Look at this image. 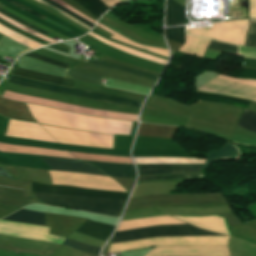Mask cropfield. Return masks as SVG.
I'll list each match as a JSON object with an SVG mask.
<instances>
[{"label":"crop field","instance_id":"crop-field-22","mask_svg":"<svg viewBox=\"0 0 256 256\" xmlns=\"http://www.w3.org/2000/svg\"><path fill=\"white\" fill-rule=\"evenodd\" d=\"M184 28L185 26L167 28L166 38L183 44L185 41Z\"/></svg>","mask_w":256,"mask_h":256},{"label":"crop field","instance_id":"crop-field-35","mask_svg":"<svg viewBox=\"0 0 256 256\" xmlns=\"http://www.w3.org/2000/svg\"><path fill=\"white\" fill-rule=\"evenodd\" d=\"M109 8L120 3L118 0H102Z\"/></svg>","mask_w":256,"mask_h":256},{"label":"crop field","instance_id":"crop-field-3","mask_svg":"<svg viewBox=\"0 0 256 256\" xmlns=\"http://www.w3.org/2000/svg\"><path fill=\"white\" fill-rule=\"evenodd\" d=\"M9 83L23 85L26 87L37 88V89L50 91V92L65 93V94L74 95V96L111 101V102H116V103L125 104V105L140 107L142 104L140 102H136V101L120 98V97L93 93V92L77 90V89H71V88H65V87H61L53 84L40 83L33 80L15 77V76L11 77V79L9 80Z\"/></svg>","mask_w":256,"mask_h":256},{"label":"crop field","instance_id":"crop-field-36","mask_svg":"<svg viewBox=\"0 0 256 256\" xmlns=\"http://www.w3.org/2000/svg\"><path fill=\"white\" fill-rule=\"evenodd\" d=\"M0 175H3V176H6V177L11 178V177L9 176V174H8L6 171H4L3 169H1V168H0Z\"/></svg>","mask_w":256,"mask_h":256},{"label":"crop field","instance_id":"crop-field-26","mask_svg":"<svg viewBox=\"0 0 256 256\" xmlns=\"http://www.w3.org/2000/svg\"><path fill=\"white\" fill-rule=\"evenodd\" d=\"M36 1H38V2H40L41 4H43V5L47 6V7H49L50 9L56 11L57 13H59V14L65 16L66 18L72 20L73 22H75V23H77V24H79V25H81V26H83V27H85V28H87V29H89V30L91 29V27L86 26L85 24H83V23H81L80 21L76 20V19L73 18L72 16H70V15H68V14H66V13H64V12H62L61 10L55 8L54 6H52V5H50V4L46 3V2H44V1H42V0H36Z\"/></svg>","mask_w":256,"mask_h":256},{"label":"crop field","instance_id":"crop-field-28","mask_svg":"<svg viewBox=\"0 0 256 256\" xmlns=\"http://www.w3.org/2000/svg\"><path fill=\"white\" fill-rule=\"evenodd\" d=\"M28 56L34 57V58L39 59V60L47 61V62H49V63H51L53 65H56V66H60V67L66 68V69L68 68L67 64L60 63L58 61L49 59V58L44 57V56H40V55H37V54H34V53L28 54Z\"/></svg>","mask_w":256,"mask_h":256},{"label":"crop field","instance_id":"crop-field-5","mask_svg":"<svg viewBox=\"0 0 256 256\" xmlns=\"http://www.w3.org/2000/svg\"><path fill=\"white\" fill-rule=\"evenodd\" d=\"M203 165L152 164L139 165V174H161L171 172L201 171Z\"/></svg>","mask_w":256,"mask_h":256},{"label":"crop field","instance_id":"crop-field-23","mask_svg":"<svg viewBox=\"0 0 256 256\" xmlns=\"http://www.w3.org/2000/svg\"><path fill=\"white\" fill-rule=\"evenodd\" d=\"M68 74L78 80H82V81H86V82H90V83H94V84H99V78H100L99 76H95L92 74L79 72V71H73V70H70L68 72Z\"/></svg>","mask_w":256,"mask_h":256},{"label":"crop field","instance_id":"crop-field-4","mask_svg":"<svg viewBox=\"0 0 256 256\" xmlns=\"http://www.w3.org/2000/svg\"><path fill=\"white\" fill-rule=\"evenodd\" d=\"M40 157L54 170L105 175L103 172L99 171L98 169L86 163H83L81 161H74V160L46 157V156H40Z\"/></svg>","mask_w":256,"mask_h":256},{"label":"crop field","instance_id":"crop-field-2","mask_svg":"<svg viewBox=\"0 0 256 256\" xmlns=\"http://www.w3.org/2000/svg\"><path fill=\"white\" fill-rule=\"evenodd\" d=\"M229 237L154 238L111 245L108 253L161 245H227Z\"/></svg>","mask_w":256,"mask_h":256},{"label":"crop field","instance_id":"crop-field-32","mask_svg":"<svg viewBox=\"0 0 256 256\" xmlns=\"http://www.w3.org/2000/svg\"><path fill=\"white\" fill-rule=\"evenodd\" d=\"M54 1H56V2H58L59 4L65 6L66 8H68V9H70V10L76 12V13L79 14L80 16L84 17V18L87 19L88 21H90V22H92V23L95 24L96 21H94V20H92V19H90V18L84 16L83 14H81L80 12H78L77 10H75L74 8L70 7V6L67 5L66 3L62 2L61 0H54Z\"/></svg>","mask_w":256,"mask_h":256},{"label":"crop field","instance_id":"crop-field-37","mask_svg":"<svg viewBox=\"0 0 256 256\" xmlns=\"http://www.w3.org/2000/svg\"><path fill=\"white\" fill-rule=\"evenodd\" d=\"M121 2L125 1V0H120Z\"/></svg>","mask_w":256,"mask_h":256},{"label":"crop field","instance_id":"crop-field-13","mask_svg":"<svg viewBox=\"0 0 256 256\" xmlns=\"http://www.w3.org/2000/svg\"><path fill=\"white\" fill-rule=\"evenodd\" d=\"M32 50L5 36L0 40V55L16 59L20 54Z\"/></svg>","mask_w":256,"mask_h":256},{"label":"crop field","instance_id":"crop-field-15","mask_svg":"<svg viewBox=\"0 0 256 256\" xmlns=\"http://www.w3.org/2000/svg\"><path fill=\"white\" fill-rule=\"evenodd\" d=\"M238 151L232 145L227 143L223 148L215 152H209L208 158L202 169H206L208 164L213 160L230 159L235 158Z\"/></svg>","mask_w":256,"mask_h":256},{"label":"crop field","instance_id":"crop-field-29","mask_svg":"<svg viewBox=\"0 0 256 256\" xmlns=\"http://www.w3.org/2000/svg\"><path fill=\"white\" fill-rule=\"evenodd\" d=\"M46 1L49 2V3H51L52 5H54L55 7L61 9L62 11H64V12H66V13H68V14H70V15L76 17V18H78L79 20L83 21L85 24H87V25H89V26H91V27L93 26V24H91L90 22H88V21L85 20L84 18H82V17H80V16H78V15L72 13L71 11L65 9L64 7H62L61 5H59L58 3H56V2H54V1H52V0H46Z\"/></svg>","mask_w":256,"mask_h":256},{"label":"crop field","instance_id":"crop-field-31","mask_svg":"<svg viewBox=\"0 0 256 256\" xmlns=\"http://www.w3.org/2000/svg\"><path fill=\"white\" fill-rule=\"evenodd\" d=\"M97 26H99V27H101V28H103V29H105V30H107V31H109V32H111V33H113V34H115V35H117V36H119V37H121V38L127 40V41H130V40H128V39L122 37L121 35H119V34L113 32V31L110 30L109 28H107V27H105V26H103V25H101V24H99V23H97ZM130 42H132V41H130ZM132 43H134V42H132ZM134 44H136V43H134ZM137 45H139V46H141V47H147V48H151V49H155V50H159V51H163V52H167V53H168V50H165V49H157V48L148 47V46H144V45H140V44H137Z\"/></svg>","mask_w":256,"mask_h":256},{"label":"crop field","instance_id":"crop-field-11","mask_svg":"<svg viewBox=\"0 0 256 256\" xmlns=\"http://www.w3.org/2000/svg\"><path fill=\"white\" fill-rule=\"evenodd\" d=\"M12 74L21 76V77H26V78L36 79V80H40V81H44V82L71 86V87L74 82L72 80H68L65 78L62 79V78L49 76V75H45V74H41V73L29 71V70L19 69V68H15Z\"/></svg>","mask_w":256,"mask_h":256},{"label":"crop field","instance_id":"crop-field-10","mask_svg":"<svg viewBox=\"0 0 256 256\" xmlns=\"http://www.w3.org/2000/svg\"><path fill=\"white\" fill-rule=\"evenodd\" d=\"M88 163L98 167L99 169H101L103 172L107 173L110 176L135 178V169L133 165L98 163V162H88Z\"/></svg>","mask_w":256,"mask_h":256},{"label":"crop field","instance_id":"crop-field-33","mask_svg":"<svg viewBox=\"0 0 256 256\" xmlns=\"http://www.w3.org/2000/svg\"><path fill=\"white\" fill-rule=\"evenodd\" d=\"M99 23H101V24H103V25L109 27L110 29L114 30L115 32H117V33H119V34H121V35H123V36H125L126 38H128V39H130V40H133V39L129 38L127 35H125V34L119 32V31L116 30L115 28H113V27H111V26L105 24L104 22H102V21H100V20H99ZM133 41H135V40H133ZM135 42H138V41H135ZM138 43H141V42H138ZM141 44H144V43H141ZM144 45H148V44H144ZM148 46L159 47V48H166V49H167V47H160V46H156V45H148Z\"/></svg>","mask_w":256,"mask_h":256},{"label":"crop field","instance_id":"crop-field-25","mask_svg":"<svg viewBox=\"0 0 256 256\" xmlns=\"http://www.w3.org/2000/svg\"><path fill=\"white\" fill-rule=\"evenodd\" d=\"M0 13L5 15V16H7V17H9V18H11V19H13L14 21H16V22H18V23H20V24H22V25H24V26H26V27H28V28H30V29L40 33V34H42V35H44V36L49 34V33L45 32V31H43V30H41V29H39V28H37V27H35V26L25 22L24 20H22V19H20V18H18L16 16H14V15H12V14L4 11V10H2V9H0Z\"/></svg>","mask_w":256,"mask_h":256},{"label":"crop field","instance_id":"crop-field-16","mask_svg":"<svg viewBox=\"0 0 256 256\" xmlns=\"http://www.w3.org/2000/svg\"><path fill=\"white\" fill-rule=\"evenodd\" d=\"M96 17H100L109 8L101 0H75Z\"/></svg>","mask_w":256,"mask_h":256},{"label":"crop field","instance_id":"crop-field-21","mask_svg":"<svg viewBox=\"0 0 256 256\" xmlns=\"http://www.w3.org/2000/svg\"><path fill=\"white\" fill-rule=\"evenodd\" d=\"M207 48L239 56L238 47L233 45L223 44L211 40Z\"/></svg>","mask_w":256,"mask_h":256},{"label":"crop field","instance_id":"crop-field-8","mask_svg":"<svg viewBox=\"0 0 256 256\" xmlns=\"http://www.w3.org/2000/svg\"><path fill=\"white\" fill-rule=\"evenodd\" d=\"M208 217H211V216H208ZM217 217H211V218H178V219L184 220V221H186V222H188L192 225H195L197 227L207 229V230H210V231H214V232H218V233L227 234V231H228V234L230 235L229 230H228V226L225 222L226 227H227V231H226L225 224H224L225 220L223 221L222 220L223 218L220 219L221 217L220 218H217Z\"/></svg>","mask_w":256,"mask_h":256},{"label":"crop field","instance_id":"crop-field-14","mask_svg":"<svg viewBox=\"0 0 256 256\" xmlns=\"http://www.w3.org/2000/svg\"><path fill=\"white\" fill-rule=\"evenodd\" d=\"M4 220L45 225V213L21 209Z\"/></svg>","mask_w":256,"mask_h":256},{"label":"crop field","instance_id":"crop-field-18","mask_svg":"<svg viewBox=\"0 0 256 256\" xmlns=\"http://www.w3.org/2000/svg\"><path fill=\"white\" fill-rule=\"evenodd\" d=\"M219 78L256 86V81H254V80H233V79H229V78H225V77H221V76H219ZM253 86H250V87L244 89L243 91L239 92L238 94H236L234 96L247 98V99L256 101V87H253Z\"/></svg>","mask_w":256,"mask_h":256},{"label":"crop field","instance_id":"crop-field-9","mask_svg":"<svg viewBox=\"0 0 256 256\" xmlns=\"http://www.w3.org/2000/svg\"><path fill=\"white\" fill-rule=\"evenodd\" d=\"M115 227L101 224V223H96L87 220L82 226H80L76 231L77 232H82L86 235L95 237L97 239L105 240L109 238L111 233L113 232Z\"/></svg>","mask_w":256,"mask_h":256},{"label":"crop field","instance_id":"crop-field-24","mask_svg":"<svg viewBox=\"0 0 256 256\" xmlns=\"http://www.w3.org/2000/svg\"><path fill=\"white\" fill-rule=\"evenodd\" d=\"M245 46L256 47V19L250 18Z\"/></svg>","mask_w":256,"mask_h":256},{"label":"crop field","instance_id":"crop-field-20","mask_svg":"<svg viewBox=\"0 0 256 256\" xmlns=\"http://www.w3.org/2000/svg\"><path fill=\"white\" fill-rule=\"evenodd\" d=\"M63 245H68L71 246L77 250H81V251H85V252H91V253H99L100 248L98 247H93V246H89V245H85L79 242H75L69 239H66L62 242ZM83 253L82 256H98L96 254H90V253Z\"/></svg>","mask_w":256,"mask_h":256},{"label":"crop field","instance_id":"crop-field-19","mask_svg":"<svg viewBox=\"0 0 256 256\" xmlns=\"http://www.w3.org/2000/svg\"><path fill=\"white\" fill-rule=\"evenodd\" d=\"M237 125L256 133V113L245 110Z\"/></svg>","mask_w":256,"mask_h":256},{"label":"crop field","instance_id":"crop-field-27","mask_svg":"<svg viewBox=\"0 0 256 256\" xmlns=\"http://www.w3.org/2000/svg\"><path fill=\"white\" fill-rule=\"evenodd\" d=\"M202 175H188V176H173V177H139L138 182L145 180H156V179H178V178H197Z\"/></svg>","mask_w":256,"mask_h":256},{"label":"crop field","instance_id":"crop-field-6","mask_svg":"<svg viewBox=\"0 0 256 256\" xmlns=\"http://www.w3.org/2000/svg\"><path fill=\"white\" fill-rule=\"evenodd\" d=\"M248 85L215 78L207 82L203 86H201L198 90L208 91L213 93H221V94L232 96L235 93L242 90L243 88L247 87Z\"/></svg>","mask_w":256,"mask_h":256},{"label":"crop field","instance_id":"crop-field-30","mask_svg":"<svg viewBox=\"0 0 256 256\" xmlns=\"http://www.w3.org/2000/svg\"><path fill=\"white\" fill-rule=\"evenodd\" d=\"M6 1H8L9 3H11V4H13V5H15V6L21 8L23 10H25L26 12H28V13H30V14H32V15H34V16L42 19V20H44V18H45V16H43V15H41V14H39V13H37V12H35V11H33V10H31V9H29V8H27V7L23 6V5L15 2V1H13V0H6Z\"/></svg>","mask_w":256,"mask_h":256},{"label":"crop field","instance_id":"crop-field-17","mask_svg":"<svg viewBox=\"0 0 256 256\" xmlns=\"http://www.w3.org/2000/svg\"><path fill=\"white\" fill-rule=\"evenodd\" d=\"M89 63L104 66V67H108V68H112V69H116V70H120V71H124V72H128V73H132V74H136V75H140V76L155 79V80L158 77L156 75L140 72V71H137L135 69H131V68H127V67H123V66H119V65L99 61V60L90 61Z\"/></svg>","mask_w":256,"mask_h":256},{"label":"crop field","instance_id":"crop-field-7","mask_svg":"<svg viewBox=\"0 0 256 256\" xmlns=\"http://www.w3.org/2000/svg\"><path fill=\"white\" fill-rule=\"evenodd\" d=\"M18 65L21 68L29 69V70H34L54 76H60L64 77V75L67 73V70H64L62 68L54 67L52 65H49L45 62L38 61L32 58L28 57H21L18 61Z\"/></svg>","mask_w":256,"mask_h":256},{"label":"crop field","instance_id":"crop-field-34","mask_svg":"<svg viewBox=\"0 0 256 256\" xmlns=\"http://www.w3.org/2000/svg\"><path fill=\"white\" fill-rule=\"evenodd\" d=\"M244 67L256 68V60L246 59Z\"/></svg>","mask_w":256,"mask_h":256},{"label":"crop field","instance_id":"crop-field-1","mask_svg":"<svg viewBox=\"0 0 256 256\" xmlns=\"http://www.w3.org/2000/svg\"><path fill=\"white\" fill-rule=\"evenodd\" d=\"M32 191L54 193V194H65V195H79V196H91L111 199L125 200L128 193L119 192H108L90 190L78 187L69 186H51L45 184H39L33 182ZM37 198L41 201L52 204L62 205L69 208L80 209L98 214H104L109 216H118L125 201L90 198V197H79V196H65V195H54L45 193L33 192Z\"/></svg>","mask_w":256,"mask_h":256},{"label":"crop field","instance_id":"crop-field-12","mask_svg":"<svg viewBox=\"0 0 256 256\" xmlns=\"http://www.w3.org/2000/svg\"><path fill=\"white\" fill-rule=\"evenodd\" d=\"M185 24V8L174 0H167L166 26Z\"/></svg>","mask_w":256,"mask_h":256}]
</instances>
